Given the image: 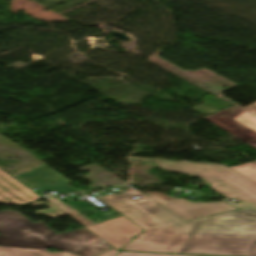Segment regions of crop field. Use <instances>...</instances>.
<instances>
[{
    "instance_id": "crop-field-10",
    "label": "crop field",
    "mask_w": 256,
    "mask_h": 256,
    "mask_svg": "<svg viewBox=\"0 0 256 256\" xmlns=\"http://www.w3.org/2000/svg\"><path fill=\"white\" fill-rule=\"evenodd\" d=\"M243 110L245 112L233 120L256 131V103L243 108ZM230 169L256 183L255 163L234 166L230 167Z\"/></svg>"
},
{
    "instance_id": "crop-field-14",
    "label": "crop field",
    "mask_w": 256,
    "mask_h": 256,
    "mask_svg": "<svg viewBox=\"0 0 256 256\" xmlns=\"http://www.w3.org/2000/svg\"><path fill=\"white\" fill-rule=\"evenodd\" d=\"M128 193H130L132 195V197H135V196L140 197V198L135 199V200L138 201L141 204H147V203H153L154 202L153 200H151L150 198H148L147 196L141 194L138 191H130Z\"/></svg>"
},
{
    "instance_id": "crop-field-6",
    "label": "crop field",
    "mask_w": 256,
    "mask_h": 256,
    "mask_svg": "<svg viewBox=\"0 0 256 256\" xmlns=\"http://www.w3.org/2000/svg\"><path fill=\"white\" fill-rule=\"evenodd\" d=\"M88 229L117 250L124 247L132 239V236L142 231L141 228L123 216Z\"/></svg>"
},
{
    "instance_id": "crop-field-8",
    "label": "crop field",
    "mask_w": 256,
    "mask_h": 256,
    "mask_svg": "<svg viewBox=\"0 0 256 256\" xmlns=\"http://www.w3.org/2000/svg\"><path fill=\"white\" fill-rule=\"evenodd\" d=\"M38 198V195L0 169V203H27Z\"/></svg>"
},
{
    "instance_id": "crop-field-12",
    "label": "crop field",
    "mask_w": 256,
    "mask_h": 256,
    "mask_svg": "<svg viewBox=\"0 0 256 256\" xmlns=\"http://www.w3.org/2000/svg\"><path fill=\"white\" fill-rule=\"evenodd\" d=\"M33 205H34V207L40 206V205H46V206L50 207L49 210H39V211L35 212V214H38V215H44V216H48L51 218L61 217V216L65 215V213L61 212L60 210L55 208L50 203H45V202L39 201V202L33 203Z\"/></svg>"
},
{
    "instance_id": "crop-field-11",
    "label": "crop field",
    "mask_w": 256,
    "mask_h": 256,
    "mask_svg": "<svg viewBox=\"0 0 256 256\" xmlns=\"http://www.w3.org/2000/svg\"><path fill=\"white\" fill-rule=\"evenodd\" d=\"M119 251L110 249L98 256H116ZM0 256H76L70 253L50 254L46 251L0 247Z\"/></svg>"
},
{
    "instance_id": "crop-field-15",
    "label": "crop field",
    "mask_w": 256,
    "mask_h": 256,
    "mask_svg": "<svg viewBox=\"0 0 256 256\" xmlns=\"http://www.w3.org/2000/svg\"><path fill=\"white\" fill-rule=\"evenodd\" d=\"M117 256H180V255H160V254L119 252V254Z\"/></svg>"
},
{
    "instance_id": "crop-field-4",
    "label": "crop field",
    "mask_w": 256,
    "mask_h": 256,
    "mask_svg": "<svg viewBox=\"0 0 256 256\" xmlns=\"http://www.w3.org/2000/svg\"><path fill=\"white\" fill-rule=\"evenodd\" d=\"M157 164L165 169L198 175L210 182L213 186L212 189L219 194L240 200L241 202L236 204L237 206L256 208V184L224 165L165 161H157Z\"/></svg>"
},
{
    "instance_id": "crop-field-13",
    "label": "crop field",
    "mask_w": 256,
    "mask_h": 256,
    "mask_svg": "<svg viewBox=\"0 0 256 256\" xmlns=\"http://www.w3.org/2000/svg\"><path fill=\"white\" fill-rule=\"evenodd\" d=\"M46 200L49 201L50 203H52L58 209L62 210L63 212H65L66 214H68L72 217L80 215L78 212H76L75 210H73L69 206L63 204L62 202H60L58 199H56L54 197L46 198Z\"/></svg>"
},
{
    "instance_id": "crop-field-3",
    "label": "crop field",
    "mask_w": 256,
    "mask_h": 256,
    "mask_svg": "<svg viewBox=\"0 0 256 256\" xmlns=\"http://www.w3.org/2000/svg\"><path fill=\"white\" fill-rule=\"evenodd\" d=\"M0 246L40 250L54 247L79 256H96L112 248L86 228L58 234L44 223L33 224L10 210L0 211Z\"/></svg>"
},
{
    "instance_id": "crop-field-1",
    "label": "crop field",
    "mask_w": 256,
    "mask_h": 256,
    "mask_svg": "<svg viewBox=\"0 0 256 256\" xmlns=\"http://www.w3.org/2000/svg\"><path fill=\"white\" fill-rule=\"evenodd\" d=\"M98 198L145 229L126 251L179 253L200 220L186 222L157 203L141 205L128 193Z\"/></svg>"
},
{
    "instance_id": "crop-field-5",
    "label": "crop field",
    "mask_w": 256,
    "mask_h": 256,
    "mask_svg": "<svg viewBox=\"0 0 256 256\" xmlns=\"http://www.w3.org/2000/svg\"><path fill=\"white\" fill-rule=\"evenodd\" d=\"M145 195L186 221L207 215L236 210V208L226 202L192 203L186 199H172L166 201L159 195Z\"/></svg>"
},
{
    "instance_id": "crop-field-9",
    "label": "crop field",
    "mask_w": 256,
    "mask_h": 256,
    "mask_svg": "<svg viewBox=\"0 0 256 256\" xmlns=\"http://www.w3.org/2000/svg\"><path fill=\"white\" fill-rule=\"evenodd\" d=\"M229 110H223L213 115L205 117L209 121L223 128L227 132L243 140L246 143L256 142V132L234 122L232 119L240 115L244 111L239 110L235 113Z\"/></svg>"
},
{
    "instance_id": "crop-field-2",
    "label": "crop field",
    "mask_w": 256,
    "mask_h": 256,
    "mask_svg": "<svg viewBox=\"0 0 256 256\" xmlns=\"http://www.w3.org/2000/svg\"><path fill=\"white\" fill-rule=\"evenodd\" d=\"M180 253L256 256V210L201 218Z\"/></svg>"
},
{
    "instance_id": "crop-field-7",
    "label": "crop field",
    "mask_w": 256,
    "mask_h": 256,
    "mask_svg": "<svg viewBox=\"0 0 256 256\" xmlns=\"http://www.w3.org/2000/svg\"><path fill=\"white\" fill-rule=\"evenodd\" d=\"M50 176L52 177L50 178ZM16 178L31 189L36 188L38 193L46 190H55L62 194L78 192L77 189L68 185L71 183L69 180L50 169L47 165L31 169V172L16 176Z\"/></svg>"
}]
</instances>
